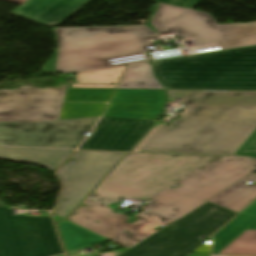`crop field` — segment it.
<instances>
[{
	"label": "crop field",
	"mask_w": 256,
	"mask_h": 256,
	"mask_svg": "<svg viewBox=\"0 0 256 256\" xmlns=\"http://www.w3.org/2000/svg\"><path fill=\"white\" fill-rule=\"evenodd\" d=\"M158 125V123H156L153 128L142 138V140L134 147V149L132 151H135L136 148L147 138V136L156 128V126Z\"/></svg>",
	"instance_id": "obj_27"
},
{
	"label": "crop field",
	"mask_w": 256,
	"mask_h": 256,
	"mask_svg": "<svg viewBox=\"0 0 256 256\" xmlns=\"http://www.w3.org/2000/svg\"><path fill=\"white\" fill-rule=\"evenodd\" d=\"M226 158L128 153L67 220L130 249L121 256H188L204 243L201 237L210 238L237 215L204 201L252 173L255 160L232 158L166 190L132 224L107 206L144 200ZM160 225L165 227L153 230Z\"/></svg>",
	"instance_id": "obj_1"
},
{
	"label": "crop field",
	"mask_w": 256,
	"mask_h": 256,
	"mask_svg": "<svg viewBox=\"0 0 256 256\" xmlns=\"http://www.w3.org/2000/svg\"><path fill=\"white\" fill-rule=\"evenodd\" d=\"M72 151L29 150L0 148V158L38 164L46 169H57Z\"/></svg>",
	"instance_id": "obj_14"
},
{
	"label": "crop field",
	"mask_w": 256,
	"mask_h": 256,
	"mask_svg": "<svg viewBox=\"0 0 256 256\" xmlns=\"http://www.w3.org/2000/svg\"><path fill=\"white\" fill-rule=\"evenodd\" d=\"M256 218L240 214L214 236L213 251L216 253L250 226Z\"/></svg>",
	"instance_id": "obj_17"
},
{
	"label": "crop field",
	"mask_w": 256,
	"mask_h": 256,
	"mask_svg": "<svg viewBox=\"0 0 256 256\" xmlns=\"http://www.w3.org/2000/svg\"><path fill=\"white\" fill-rule=\"evenodd\" d=\"M116 86L71 85V88H115Z\"/></svg>",
	"instance_id": "obj_26"
},
{
	"label": "crop field",
	"mask_w": 256,
	"mask_h": 256,
	"mask_svg": "<svg viewBox=\"0 0 256 256\" xmlns=\"http://www.w3.org/2000/svg\"><path fill=\"white\" fill-rule=\"evenodd\" d=\"M219 254L256 256V223Z\"/></svg>",
	"instance_id": "obj_18"
},
{
	"label": "crop field",
	"mask_w": 256,
	"mask_h": 256,
	"mask_svg": "<svg viewBox=\"0 0 256 256\" xmlns=\"http://www.w3.org/2000/svg\"><path fill=\"white\" fill-rule=\"evenodd\" d=\"M152 64L166 89H256V46Z\"/></svg>",
	"instance_id": "obj_4"
},
{
	"label": "crop field",
	"mask_w": 256,
	"mask_h": 256,
	"mask_svg": "<svg viewBox=\"0 0 256 256\" xmlns=\"http://www.w3.org/2000/svg\"><path fill=\"white\" fill-rule=\"evenodd\" d=\"M184 10H185V9H184ZM184 10L182 11V13L184 12ZM165 23H166V22H165ZM165 23H163L162 26H163ZM162 26H161V27H162ZM161 27H160V28H161ZM160 28H159V29H160ZM155 33H156V32H155ZM155 33H154V34H155ZM152 35H153V34H152ZM152 35H151V36H152ZM144 42H145V41H144ZM143 46H144V43H143Z\"/></svg>",
	"instance_id": "obj_29"
},
{
	"label": "crop field",
	"mask_w": 256,
	"mask_h": 256,
	"mask_svg": "<svg viewBox=\"0 0 256 256\" xmlns=\"http://www.w3.org/2000/svg\"><path fill=\"white\" fill-rule=\"evenodd\" d=\"M62 253L51 216H12L0 208V256H52Z\"/></svg>",
	"instance_id": "obj_5"
},
{
	"label": "crop field",
	"mask_w": 256,
	"mask_h": 256,
	"mask_svg": "<svg viewBox=\"0 0 256 256\" xmlns=\"http://www.w3.org/2000/svg\"><path fill=\"white\" fill-rule=\"evenodd\" d=\"M92 0H27L11 14L53 27Z\"/></svg>",
	"instance_id": "obj_12"
},
{
	"label": "crop field",
	"mask_w": 256,
	"mask_h": 256,
	"mask_svg": "<svg viewBox=\"0 0 256 256\" xmlns=\"http://www.w3.org/2000/svg\"><path fill=\"white\" fill-rule=\"evenodd\" d=\"M154 122L151 120L102 117L94 133L79 148L127 151Z\"/></svg>",
	"instance_id": "obj_10"
},
{
	"label": "crop field",
	"mask_w": 256,
	"mask_h": 256,
	"mask_svg": "<svg viewBox=\"0 0 256 256\" xmlns=\"http://www.w3.org/2000/svg\"><path fill=\"white\" fill-rule=\"evenodd\" d=\"M165 103L164 90H116L103 116L157 120Z\"/></svg>",
	"instance_id": "obj_11"
},
{
	"label": "crop field",
	"mask_w": 256,
	"mask_h": 256,
	"mask_svg": "<svg viewBox=\"0 0 256 256\" xmlns=\"http://www.w3.org/2000/svg\"><path fill=\"white\" fill-rule=\"evenodd\" d=\"M66 250L71 251L104 241H108L82 227H79L67 220L58 223Z\"/></svg>",
	"instance_id": "obj_15"
},
{
	"label": "crop field",
	"mask_w": 256,
	"mask_h": 256,
	"mask_svg": "<svg viewBox=\"0 0 256 256\" xmlns=\"http://www.w3.org/2000/svg\"><path fill=\"white\" fill-rule=\"evenodd\" d=\"M114 89H67L64 101L108 102Z\"/></svg>",
	"instance_id": "obj_21"
},
{
	"label": "crop field",
	"mask_w": 256,
	"mask_h": 256,
	"mask_svg": "<svg viewBox=\"0 0 256 256\" xmlns=\"http://www.w3.org/2000/svg\"><path fill=\"white\" fill-rule=\"evenodd\" d=\"M235 155H250L256 157V131L249 137Z\"/></svg>",
	"instance_id": "obj_22"
},
{
	"label": "crop field",
	"mask_w": 256,
	"mask_h": 256,
	"mask_svg": "<svg viewBox=\"0 0 256 256\" xmlns=\"http://www.w3.org/2000/svg\"><path fill=\"white\" fill-rule=\"evenodd\" d=\"M118 89H163L147 63L129 65Z\"/></svg>",
	"instance_id": "obj_16"
},
{
	"label": "crop field",
	"mask_w": 256,
	"mask_h": 256,
	"mask_svg": "<svg viewBox=\"0 0 256 256\" xmlns=\"http://www.w3.org/2000/svg\"><path fill=\"white\" fill-rule=\"evenodd\" d=\"M248 180L256 182L255 174L248 175L206 202L239 213L256 198V184H245Z\"/></svg>",
	"instance_id": "obj_13"
},
{
	"label": "crop field",
	"mask_w": 256,
	"mask_h": 256,
	"mask_svg": "<svg viewBox=\"0 0 256 256\" xmlns=\"http://www.w3.org/2000/svg\"><path fill=\"white\" fill-rule=\"evenodd\" d=\"M167 91L188 111L139 150L234 155L256 129V91Z\"/></svg>",
	"instance_id": "obj_2"
},
{
	"label": "crop field",
	"mask_w": 256,
	"mask_h": 256,
	"mask_svg": "<svg viewBox=\"0 0 256 256\" xmlns=\"http://www.w3.org/2000/svg\"><path fill=\"white\" fill-rule=\"evenodd\" d=\"M169 32L180 33L183 38L193 36L198 45L219 42L223 49L256 44V23L218 25L210 14L188 9L150 38ZM147 46H153L149 39L145 50Z\"/></svg>",
	"instance_id": "obj_8"
},
{
	"label": "crop field",
	"mask_w": 256,
	"mask_h": 256,
	"mask_svg": "<svg viewBox=\"0 0 256 256\" xmlns=\"http://www.w3.org/2000/svg\"><path fill=\"white\" fill-rule=\"evenodd\" d=\"M1 206H6V205L0 204V207H1Z\"/></svg>",
	"instance_id": "obj_31"
},
{
	"label": "crop field",
	"mask_w": 256,
	"mask_h": 256,
	"mask_svg": "<svg viewBox=\"0 0 256 256\" xmlns=\"http://www.w3.org/2000/svg\"><path fill=\"white\" fill-rule=\"evenodd\" d=\"M4 1L21 5V4L24 3L26 0H4Z\"/></svg>",
	"instance_id": "obj_28"
},
{
	"label": "crop field",
	"mask_w": 256,
	"mask_h": 256,
	"mask_svg": "<svg viewBox=\"0 0 256 256\" xmlns=\"http://www.w3.org/2000/svg\"><path fill=\"white\" fill-rule=\"evenodd\" d=\"M123 154L114 152H75L70 158L71 161H75L74 164H65L57 173V177L64 185V188L60 194L58 206L53 213L63 218L67 217Z\"/></svg>",
	"instance_id": "obj_7"
},
{
	"label": "crop field",
	"mask_w": 256,
	"mask_h": 256,
	"mask_svg": "<svg viewBox=\"0 0 256 256\" xmlns=\"http://www.w3.org/2000/svg\"><path fill=\"white\" fill-rule=\"evenodd\" d=\"M99 118L43 123L0 122V146L75 149Z\"/></svg>",
	"instance_id": "obj_6"
},
{
	"label": "crop field",
	"mask_w": 256,
	"mask_h": 256,
	"mask_svg": "<svg viewBox=\"0 0 256 256\" xmlns=\"http://www.w3.org/2000/svg\"><path fill=\"white\" fill-rule=\"evenodd\" d=\"M66 86L59 89L21 86L0 89V121L43 122L59 120Z\"/></svg>",
	"instance_id": "obj_9"
},
{
	"label": "crop field",
	"mask_w": 256,
	"mask_h": 256,
	"mask_svg": "<svg viewBox=\"0 0 256 256\" xmlns=\"http://www.w3.org/2000/svg\"><path fill=\"white\" fill-rule=\"evenodd\" d=\"M212 256H228V255H212Z\"/></svg>",
	"instance_id": "obj_30"
},
{
	"label": "crop field",
	"mask_w": 256,
	"mask_h": 256,
	"mask_svg": "<svg viewBox=\"0 0 256 256\" xmlns=\"http://www.w3.org/2000/svg\"><path fill=\"white\" fill-rule=\"evenodd\" d=\"M149 1H154L158 3H163V4H168V5H173V6L183 7V8H186L191 3V0H149ZM201 1L202 0H193V3L188 8L195 10V8L201 3Z\"/></svg>",
	"instance_id": "obj_23"
},
{
	"label": "crop field",
	"mask_w": 256,
	"mask_h": 256,
	"mask_svg": "<svg viewBox=\"0 0 256 256\" xmlns=\"http://www.w3.org/2000/svg\"><path fill=\"white\" fill-rule=\"evenodd\" d=\"M107 103H64L60 120L101 116Z\"/></svg>",
	"instance_id": "obj_19"
},
{
	"label": "crop field",
	"mask_w": 256,
	"mask_h": 256,
	"mask_svg": "<svg viewBox=\"0 0 256 256\" xmlns=\"http://www.w3.org/2000/svg\"><path fill=\"white\" fill-rule=\"evenodd\" d=\"M182 10L156 3L145 26L52 28L58 49L53 50L55 55L42 66V74L55 71L65 74L140 62L142 60L110 65L107 59L143 54V41Z\"/></svg>",
	"instance_id": "obj_3"
},
{
	"label": "crop field",
	"mask_w": 256,
	"mask_h": 256,
	"mask_svg": "<svg viewBox=\"0 0 256 256\" xmlns=\"http://www.w3.org/2000/svg\"><path fill=\"white\" fill-rule=\"evenodd\" d=\"M242 214L256 217V201L251 206H249L245 211H243Z\"/></svg>",
	"instance_id": "obj_25"
},
{
	"label": "crop field",
	"mask_w": 256,
	"mask_h": 256,
	"mask_svg": "<svg viewBox=\"0 0 256 256\" xmlns=\"http://www.w3.org/2000/svg\"><path fill=\"white\" fill-rule=\"evenodd\" d=\"M211 238L200 246L191 256H210Z\"/></svg>",
	"instance_id": "obj_24"
},
{
	"label": "crop field",
	"mask_w": 256,
	"mask_h": 256,
	"mask_svg": "<svg viewBox=\"0 0 256 256\" xmlns=\"http://www.w3.org/2000/svg\"><path fill=\"white\" fill-rule=\"evenodd\" d=\"M126 66L77 73V83L118 84Z\"/></svg>",
	"instance_id": "obj_20"
}]
</instances>
